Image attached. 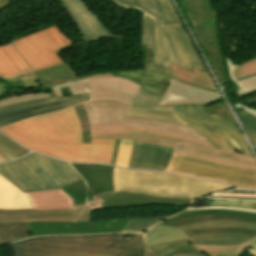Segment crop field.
Segmentation results:
<instances>
[{
    "label": "crop field",
    "instance_id": "obj_1",
    "mask_svg": "<svg viewBox=\"0 0 256 256\" xmlns=\"http://www.w3.org/2000/svg\"><path fill=\"white\" fill-rule=\"evenodd\" d=\"M72 166L82 175L88 186L87 202L101 198L95 207H85L86 185L83 180L61 188L74 201V207L67 211H44L0 209V224L29 221L30 234H91L120 232L128 219L91 221V212L98 209L131 207L137 205H191L192 199L157 198L141 193H114L112 187L113 168L103 165Z\"/></svg>",
    "mask_w": 256,
    "mask_h": 256
},
{
    "label": "crop field",
    "instance_id": "obj_2",
    "mask_svg": "<svg viewBox=\"0 0 256 256\" xmlns=\"http://www.w3.org/2000/svg\"><path fill=\"white\" fill-rule=\"evenodd\" d=\"M1 130L43 154L76 162L110 163L114 139H91V144H81L80 124L73 107L20 121Z\"/></svg>",
    "mask_w": 256,
    "mask_h": 256
},
{
    "label": "crop field",
    "instance_id": "obj_3",
    "mask_svg": "<svg viewBox=\"0 0 256 256\" xmlns=\"http://www.w3.org/2000/svg\"><path fill=\"white\" fill-rule=\"evenodd\" d=\"M56 236L11 244L13 256H144L143 234Z\"/></svg>",
    "mask_w": 256,
    "mask_h": 256
},
{
    "label": "crop field",
    "instance_id": "obj_4",
    "mask_svg": "<svg viewBox=\"0 0 256 256\" xmlns=\"http://www.w3.org/2000/svg\"><path fill=\"white\" fill-rule=\"evenodd\" d=\"M167 1L180 26L159 29L149 17H141L140 45L153 48L152 70L170 72L172 62L192 73V67L208 72L170 0Z\"/></svg>",
    "mask_w": 256,
    "mask_h": 256
},
{
    "label": "crop field",
    "instance_id": "obj_5",
    "mask_svg": "<svg viewBox=\"0 0 256 256\" xmlns=\"http://www.w3.org/2000/svg\"><path fill=\"white\" fill-rule=\"evenodd\" d=\"M91 138H118L175 148L174 152L256 169L253 156L214 149L210 143L141 127L104 126L90 128ZM184 147V150L178 149Z\"/></svg>",
    "mask_w": 256,
    "mask_h": 256
},
{
    "label": "crop field",
    "instance_id": "obj_6",
    "mask_svg": "<svg viewBox=\"0 0 256 256\" xmlns=\"http://www.w3.org/2000/svg\"><path fill=\"white\" fill-rule=\"evenodd\" d=\"M113 186L115 192H141L157 197L193 199L232 188L174 174L117 168H114Z\"/></svg>",
    "mask_w": 256,
    "mask_h": 256
},
{
    "label": "crop field",
    "instance_id": "obj_7",
    "mask_svg": "<svg viewBox=\"0 0 256 256\" xmlns=\"http://www.w3.org/2000/svg\"><path fill=\"white\" fill-rule=\"evenodd\" d=\"M0 174L24 192L58 189L81 180L70 164L36 153L1 164Z\"/></svg>",
    "mask_w": 256,
    "mask_h": 256
},
{
    "label": "crop field",
    "instance_id": "obj_8",
    "mask_svg": "<svg viewBox=\"0 0 256 256\" xmlns=\"http://www.w3.org/2000/svg\"><path fill=\"white\" fill-rule=\"evenodd\" d=\"M176 113L190 126L201 133L214 148L252 155L239 129L219 115L208 116L203 105L173 106Z\"/></svg>",
    "mask_w": 256,
    "mask_h": 256
},
{
    "label": "crop field",
    "instance_id": "obj_9",
    "mask_svg": "<svg viewBox=\"0 0 256 256\" xmlns=\"http://www.w3.org/2000/svg\"><path fill=\"white\" fill-rule=\"evenodd\" d=\"M83 104L88 115L90 127L104 125L141 126L207 141L191 127L123 117L128 105L118 100L96 99Z\"/></svg>",
    "mask_w": 256,
    "mask_h": 256
},
{
    "label": "crop field",
    "instance_id": "obj_10",
    "mask_svg": "<svg viewBox=\"0 0 256 256\" xmlns=\"http://www.w3.org/2000/svg\"><path fill=\"white\" fill-rule=\"evenodd\" d=\"M167 171L185 173L248 188H256V170L191 156L174 153Z\"/></svg>",
    "mask_w": 256,
    "mask_h": 256
},
{
    "label": "crop field",
    "instance_id": "obj_11",
    "mask_svg": "<svg viewBox=\"0 0 256 256\" xmlns=\"http://www.w3.org/2000/svg\"><path fill=\"white\" fill-rule=\"evenodd\" d=\"M12 43L34 71L62 64L63 62L55 53L73 45L56 26Z\"/></svg>",
    "mask_w": 256,
    "mask_h": 256
},
{
    "label": "crop field",
    "instance_id": "obj_12",
    "mask_svg": "<svg viewBox=\"0 0 256 256\" xmlns=\"http://www.w3.org/2000/svg\"><path fill=\"white\" fill-rule=\"evenodd\" d=\"M42 89L51 88L53 93H32L0 99V107L49 97H62L87 93L81 77L68 63L33 72Z\"/></svg>",
    "mask_w": 256,
    "mask_h": 256
},
{
    "label": "crop field",
    "instance_id": "obj_13",
    "mask_svg": "<svg viewBox=\"0 0 256 256\" xmlns=\"http://www.w3.org/2000/svg\"><path fill=\"white\" fill-rule=\"evenodd\" d=\"M87 95L49 98L0 108V127L36 115L62 110L74 104L87 101Z\"/></svg>",
    "mask_w": 256,
    "mask_h": 256
},
{
    "label": "crop field",
    "instance_id": "obj_14",
    "mask_svg": "<svg viewBox=\"0 0 256 256\" xmlns=\"http://www.w3.org/2000/svg\"><path fill=\"white\" fill-rule=\"evenodd\" d=\"M61 2L71 16L84 42L117 37L90 12L81 0H61Z\"/></svg>",
    "mask_w": 256,
    "mask_h": 256
},
{
    "label": "crop field",
    "instance_id": "obj_15",
    "mask_svg": "<svg viewBox=\"0 0 256 256\" xmlns=\"http://www.w3.org/2000/svg\"><path fill=\"white\" fill-rule=\"evenodd\" d=\"M89 100L114 97L131 104L140 85L121 77H100L83 80Z\"/></svg>",
    "mask_w": 256,
    "mask_h": 256
},
{
    "label": "crop field",
    "instance_id": "obj_16",
    "mask_svg": "<svg viewBox=\"0 0 256 256\" xmlns=\"http://www.w3.org/2000/svg\"><path fill=\"white\" fill-rule=\"evenodd\" d=\"M151 64H152V49L146 48L143 69L116 72V76H122L129 80H132L140 84L141 87L145 88L150 93L162 96L169 84L170 78H172L170 77L171 73L151 71ZM172 79L181 81L176 78H172ZM181 82H184V81H181ZM189 85H192V84H189ZM192 86L199 87L196 85H192ZM199 88L206 89L203 87H199ZM206 90H210V89H206ZM210 91H213V90H210Z\"/></svg>",
    "mask_w": 256,
    "mask_h": 256
},
{
    "label": "crop field",
    "instance_id": "obj_17",
    "mask_svg": "<svg viewBox=\"0 0 256 256\" xmlns=\"http://www.w3.org/2000/svg\"><path fill=\"white\" fill-rule=\"evenodd\" d=\"M173 149L134 141L128 168L165 171Z\"/></svg>",
    "mask_w": 256,
    "mask_h": 256
},
{
    "label": "crop field",
    "instance_id": "obj_18",
    "mask_svg": "<svg viewBox=\"0 0 256 256\" xmlns=\"http://www.w3.org/2000/svg\"><path fill=\"white\" fill-rule=\"evenodd\" d=\"M223 101L219 93L198 89L172 80L159 105L164 104H210Z\"/></svg>",
    "mask_w": 256,
    "mask_h": 256
},
{
    "label": "crop field",
    "instance_id": "obj_19",
    "mask_svg": "<svg viewBox=\"0 0 256 256\" xmlns=\"http://www.w3.org/2000/svg\"><path fill=\"white\" fill-rule=\"evenodd\" d=\"M194 27L204 52L208 60L212 63L221 84L229 83L230 81L225 67L224 56L221 55L219 38L215 25L205 24Z\"/></svg>",
    "mask_w": 256,
    "mask_h": 256
},
{
    "label": "crop field",
    "instance_id": "obj_20",
    "mask_svg": "<svg viewBox=\"0 0 256 256\" xmlns=\"http://www.w3.org/2000/svg\"><path fill=\"white\" fill-rule=\"evenodd\" d=\"M213 219H231V220L256 223V213L230 211V210L187 211V212H182L180 214H177L160 224L175 227L178 225L191 223L198 220H213Z\"/></svg>",
    "mask_w": 256,
    "mask_h": 256
},
{
    "label": "crop field",
    "instance_id": "obj_21",
    "mask_svg": "<svg viewBox=\"0 0 256 256\" xmlns=\"http://www.w3.org/2000/svg\"><path fill=\"white\" fill-rule=\"evenodd\" d=\"M127 9L138 8L155 20L160 28L178 25L166 0H115Z\"/></svg>",
    "mask_w": 256,
    "mask_h": 256
},
{
    "label": "crop field",
    "instance_id": "obj_22",
    "mask_svg": "<svg viewBox=\"0 0 256 256\" xmlns=\"http://www.w3.org/2000/svg\"><path fill=\"white\" fill-rule=\"evenodd\" d=\"M230 81L237 97H242L256 91V58L240 66H234L225 56Z\"/></svg>",
    "mask_w": 256,
    "mask_h": 256
},
{
    "label": "crop field",
    "instance_id": "obj_23",
    "mask_svg": "<svg viewBox=\"0 0 256 256\" xmlns=\"http://www.w3.org/2000/svg\"><path fill=\"white\" fill-rule=\"evenodd\" d=\"M31 203V209L66 210L73 206L72 199L61 189L43 192L25 193Z\"/></svg>",
    "mask_w": 256,
    "mask_h": 256
},
{
    "label": "crop field",
    "instance_id": "obj_24",
    "mask_svg": "<svg viewBox=\"0 0 256 256\" xmlns=\"http://www.w3.org/2000/svg\"><path fill=\"white\" fill-rule=\"evenodd\" d=\"M124 116L186 125L171 106L140 107L129 105Z\"/></svg>",
    "mask_w": 256,
    "mask_h": 256
},
{
    "label": "crop field",
    "instance_id": "obj_25",
    "mask_svg": "<svg viewBox=\"0 0 256 256\" xmlns=\"http://www.w3.org/2000/svg\"><path fill=\"white\" fill-rule=\"evenodd\" d=\"M29 71V66L11 45L0 47V75L10 77Z\"/></svg>",
    "mask_w": 256,
    "mask_h": 256
},
{
    "label": "crop field",
    "instance_id": "obj_26",
    "mask_svg": "<svg viewBox=\"0 0 256 256\" xmlns=\"http://www.w3.org/2000/svg\"><path fill=\"white\" fill-rule=\"evenodd\" d=\"M182 6L193 25L217 23L216 12L211 8L209 0H181Z\"/></svg>",
    "mask_w": 256,
    "mask_h": 256
},
{
    "label": "crop field",
    "instance_id": "obj_27",
    "mask_svg": "<svg viewBox=\"0 0 256 256\" xmlns=\"http://www.w3.org/2000/svg\"><path fill=\"white\" fill-rule=\"evenodd\" d=\"M255 237L240 233H213L190 237L192 244L232 246L245 243Z\"/></svg>",
    "mask_w": 256,
    "mask_h": 256
},
{
    "label": "crop field",
    "instance_id": "obj_28",
    "mask_svg": "<svg viewBox=\"0 0 256 256\" xmlns=\"http://www.w3.org/2000/svg\"><path fill=\"white\" fill-rule=\"evenodd\" d=\"M0 208H30L28 199L23 192L0 176Z\"/></svg>",
    "mask_w": 256,
    "mask_h": 256
},
{
    "label": "crop field",
    "instance_id": "obj_29",
    "mask_svg": "<svg viewBox=\"0 0 256 256\" xmlns=\"http://www.w3.org/2000/svg\"><path fill=\"white\" fill-rule=\"evenodd\" d=\"M187 238L188 236L183 231L157 225L145 233V246Z\"/></svg>",
    "mask_w": 256,
    "mask_h": 256
},
{
    "label": "crop field",
    "instance_id": "obj_30",
    "mask_svg": "<svg viewBox=\"0 0 256 256\" xmlns=\"http://www.w3.org/2000/svg\"><path fill=\"white\" fill-rule=\"evenodd\" d=\"M197 251L198 250L191 245L189 239L145 247L146 256H160Z\"/></svg>",
    "mask_w": 256,
    "mask_h": 256
},
{
    "label": "crop field",
    "instance_id": "obj_31",
    "mask_svg": "<svg viewBox=\"0 0 256 256\" xmlns=\"http://www.w3.org/2000/svg\"><path fill=\"white\" fill-rule=\"evenodd\" d=\"M210 199L212 201H211L209 207L189 208L188 210L231 209V210H242V211L256 212V200L219 199V198H210Z\"/></svg>",
    "mask_w": 256,
    "mask_h": 256
},
{
    "label": "crop field",
    "instance_id": "obj_32",
    "mask_svg": "<svg viewBox=\"0 0 256 256\" xmlns=\"http://www.w3.org/2000/svg\"><path fill=\"white\" fill-rule=\"evenodd\" d=\"M171 72H172V75H171L172 77H176L186 82L193 83L199 86L217 90L209 74L202 72L200 70L194 69V74H192L186 70H183L171 64Z\"/></svg>",
    "mask_w": 256,
    "mask_h": 256
},
{
    "label": "crop field",
    "instance_id": "obj_33",
    "mask_svg": "<svg viewBox=\"0 0 256 256\" xmlns=\"http://www.w3.org/2000/svg\"><path fill=\"white\" fill-rule=\"evenodd\" d=\"M28 222L0 225V244L30 237Z\"/></svg>",
    "mask_w": 256,
    "mask_h": 256
},
{
    "label": "crop field",
    "instance_id": "obj_34",
    "mask_svg": "<svg viewBox=\"0 0 256 256\" xmlns=\"http://www.w3.org/2000/svg\"><path fill=\"white\" fill-rule=\"evenodd\" d=\"M214 227H239V228L256 230V224L246 223V222H237V221H231V220L199 221V222L182 225L175 228L186 231V230H193V229H200V228H214Z\"/></svg>",
    "mask_w": 256,
    "mask_h": 256
},
{
    "label": "crop field",
    "instance_id": "obj_35",
    "mask_svg": "<svg viewBox=\"0 0 256 256\" xmlns=\"http://www.w3.org/2000/svg\"><path fill=\"white\" fill-rule=\"evenodd\" d=\"M256 244V238L239 246L233 247H214L205 245H193L198 250L203 251L208 256H240L248 247Z\"/></svg>",
    "mask_w": 256,
    "mask_h": 256
},
{
    "label": "crop field",
    "instance_id": "obj_36",
    "mask_svg": "<svg viewBox=\"0 0 256 256\" xmlns=\"http://www.w3.org/2000/svg\"><path fill=\"white\" fill-rule=\"evenodd\" d=\"M167 218L169 217H149V218L129 219L128 223L122 229L121 232L144 231Z\"/></svg>",
    "mask_w": 256,
    "mask_h": 256
},
{
    "label": "crop field",
    "instance_id": "obj_37",
    "mask_svg": "<svg viewBox=\"0 0 256 256\" xmlns=\"http://www.w3.org/2000/svg\"><path fill=\"white\" fill-rule=\"evenodd\" d=\"M26 153H28L27 150L13 143L0 133V155L9 160L22 156Z\"/></svg>",
    "mask_w": 256,
    "mask_h": 256
},
{
    "label": "crop field",
    "instance_id": "obj_38",
    "mask_svg": "<svg viewBox=\"0 0 256 256\" xmlns=\"http://www.w3.org/2000/svg\"><path fill=\"white\" fill-rule=\"evenodd\" d=\"M236 113L253 146L256 147V117L243 110L236 111Z\"/></svg>",
    "mask_w": 256,
    "mask_h": 256
},
{
    "label": "crop field",
    "instance_id": "obj_39",
    "mask_svg": "<svg viewBox=\"0 0 256 256\" xmlns=\"http://www.w3.org/2000/svg\"><path fill=\"white\" fill-rule=\"evenodd\" d=\"M204 106L209 115L217 113L221 117H223L225 120H227L228 122H230L231 124H233L238 128V124L225 101L216 105H204Z\"/></svg>",
    "mask_w": 256,
    "mask_h": 256
},
{
    "label": "crop field",
    "instance_id": "obj_40",
    "mask_svg": "<svg viewBox=\"0 0 256 256\" xmlns=\"http://www.w3.org/2000/svg\"><path fill=\"white\" fill-rule=\"evenodd\" d=\"M162 97L152 95L148 91L140 87L137 95L135 96L133 105H158Z\"/></svg>",
    "mask_w": 256,
    "mask_h": 256
},
{
    "label": "crop field",
    "instance_id": "obj_41",
    "mask_svg": "<svg viewBox=\"0 0 256 256\" xmlns=\"http://www.w3.org/2000/svg\"><path fill=\"white\" fill-rule=\"evenodd\" d=\"M133 141L121 140L115 165L128 166Z\"/></svg>",
    "mask_w": 256,
    "mask_h": 256
},
{
    "label": "crop field",
    "instance_id": "obj_42",
    "mask_svg": "<svg viewBox=\"0 0 256 256\" xmlns=\"http://www.w3.org/2000/svg\"><path fill=\"white\" fill-rule=\"evenodd\" d=\"M79 120L81 124V129H82V137H83V142L82 143H90V133H89V124H88V119L86 112L84 110L83 104H78L74 106Z\"/></svg>",
    "mask_w": 256,
    "mask_h": 256
},
{
    "label": "crop field",
    "instance_id": "obj_43",
    "mask_svg": "<svg viewBox=\"0 0 256 256\" xmlns=\"http://www.w3.org/2000/svg\"><path fill=\"white\" fill-rule=\"evenodd\" d=\"M213 232H240L246 233L250 235L256 236V231L247 230V229H238V228H215V229H200L185 232L188 236L197 235V234H205V233H213Z\"/></svg>",
    "mask_w": 256,
    "mask_h": 256
},
{
    "label": "crop field",
    "instance_id": "obj_44",
    "mask_svg": "<svg viewBox=\"0 0 256 256\" xmlns=\"http://www.w3.org/2000/svg\"><path fill=\"white\" fill-rule=\"evenodd\" d=\"M20 77L23 79V82L27 88H38L37 84L39 83L34 77L33 73L21 75Z\"/></svg>",
    "mask_w": 256,
    "mask_h": 256
},
{
    "label": "crop field",
    "instance_id": "obj_45",
    "mask_svg": "<svg viewBox=\"0 0 256 256\" xmlns=\"http://www.w3.org/2000/svg\"><path fill=\"white\" fill-rule=\"evenodd\" d=\"M216 196H246V197H256V193H221L213 194Z\"/></svg>",
    "mask_w": 256,
    "mask_h": 256
},
{
    "label": "crop field",
    "instance_id": "obj_46",
    "mask_svg": "<svg viewBox=\"0 0 256 256\" xmlns=\"http://www.w3.org/2000/svg\"><path fill=\"white\" fill-rule=\"evenodd\" d=\"M119 142H120V140L115 139L114 150H113V156H112V160H111V163H110V164H112V165H114V163H115V159H116V155H117V150H118Z\"/></svg>",
    "mask_w": 256,
    "mask_h": 256
},
{
    "label": "crop field",
    "instance_id": "obj_47",
    "mask_svg": "<svg viewBox=\"0 0 256 256\" xmlns=\"http://www.w3.org/2000/svg\"><path fill=\"white\" fill-rule=\"evenodd\" d=\"M235 107L237 108V110L244 109L245 111H247V112L256 116V111L255 110H252L251 108L246 107L243 104H236Z\"/></svg>",
    "mask_w": 256,
    "mask_h": 256
},
{
    "label": "crop field",
    "instance_id": "obj_48",
    "mask_svg": "<svg viewBox=\"0 0 256 256\" xmlns=\"http://www.w3.org/2000/svg\"><path fill=\"white\" fill-rule=\"evenodd\" d=\"M170 256H206L203 252L197 253H188V254H180V255H170Z\"/></svg>",
    "mask_w": 256,
    "mask_h": 256
},
{
    "label": "crop field",
    "instance_id": "obj_49",
    "mask_svg": "<svg viewBox=\"0 0 256 256\" xmlns=\"http://www.w3.org/2000/svg\"><path fill=\"white\" fill-rule=\"evenodd\" d=\"M10 4H12L10 0H0V10L6 8Z\"/></svg>",
    "mask_w": 256,
    "mask_h": 256
},
{
    "label": "crop field",
    "instance_id": "obj_50",
    "mask_svg": "<svg viewBox=\"0 0 256 256\" xmlns=\"http://www.w3.org/2000/svg\"><path fill=\"white\" fill-rule=\"evenodd\" d=\"M99 76H115V72L98 74V75H92V76H86V77H82V78L85 79V78L99 77Z\"/></svg>",
    "mask_w": 256,
    "mask_h": 256
},
{
    "label": "crop field",
    "instance_id": "obj_51",
    "mask_svg": "<svg viewBox=\"0 0 256 256\" xmlns=\"http://www.w3.org/2000/svg\"><path fill=\"white\" fill-rule=\"evenodd\" d=\"M244 102H246L248 105L253 106L254 104H256V95L248 98L247 100H245Z\"/></svg>",
    "mask_w": 256,
    "mask_h": 256
},
{
    "label": "crop field",
    "instance_id": "obj_52",
    "mask_svg": "<svg viewBox=\"0 0 256 256\" xmlns=\"http://www.w3.org/2000/svg\"><path fill=\"white\" fill-rule=\"evenodd\" d=\"M226 192H256V191L244 190V189H234V190H230V191H226Z\"/></svg>",
    "mask_w": 256,
    "mask_h": 256
},
{
    "label": "crop field",
    "instance_id": "obj_53",
    "mask_svg": "<svg viewBox=\"0 0 256 256\" xmlns=\"http://www.w3.org/2000/svg\"><path fill=\"white\" fill-rule=\"evenodd\" d=\"M248 252H250L251 254H253L254 256H256V246L251 248Z\"/></svg>",
    "mask_w": 256,
    "mask_h": 256
},
{
    "label": "crop field",
    "instance_id": "obj_54",
    "mask_svg": "<svg viewBox=\"0 0 256 256\" xmlns=\"http://www.w3.org/2000/svg\"><path fill=\"white\" fill-rule=\"evenodd\" d=\"M208 197H215V196H208ZM219 198H244V199H256V198H245V197H219Z\"/></svg>",
    "mask_w": 256,
    "mask_h": 256
},
{
    "label": "crop field",
    "instance_id": "obj_55",
    "mask_svg": "<svg viewBox=\"0 0 256 256\" xmlns=\"http://www.w3.org/2000/svg\"><path fill=\"white\" fill-rule=\"evenodd\" d=\"M6 161L3 157L0 156V162Z\"/></svg>",
    "mask_w": 256,
    "mask_h": 256
},
{
    "label": "crop field",
    "instance_id": "obj_56",
    "mask_svg": "<svg viewBox=\"0 0 256 256\" xmlns=\"http://www.w3.org/2000/svg\"><path fill=\"white\" fill-rule=\"evenodd\" d=\"M256 149V148H255Z\"/></svg>",
    "mask_w": 256,
    "mask_h": 256
}]
</instances>
